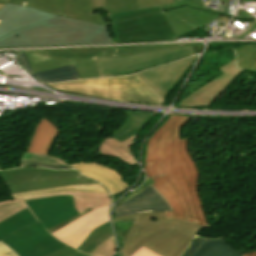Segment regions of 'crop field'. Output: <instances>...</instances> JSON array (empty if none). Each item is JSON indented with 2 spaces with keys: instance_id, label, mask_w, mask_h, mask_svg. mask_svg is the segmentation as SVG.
I'll return each mask as SVG.
<instances>
[{
  "instance_id": "crop-field-20",
  "label": "crop field",
  "mask_w": 256,
  "mask_h": 256,
  "mask_svg": "<svg viewBox=\"0 0 256 256\" xmlns=\"http://www.w3.org/2000/svg\"><path fill=\"white\" fill-rule=\"evenodd\" d=\"M136 135L130 137L129 139L121 143L109 136L100 145L98 155H106L121 158L124 161L131 164L132 166L136 165L137 162L134 160L132 156V142Z\"/></svg>"
},
{
  "instance_id": "crop-field-39",
  "label": "crop field",
  "mask_w": 256,
  "mask_h": 256,
  "mask_svg": "<svg viewBox=\"0 0 256 256\" xmlns=\"http://www.w3.org/2000/svg\"><path fill=\"white\" fill-rule=\"evenodd\" d=\"M204 239L195 238L183 256H192Z\"/></svg>"
},
{
  "instance_id": "crop-field-13",
  "label": "crop field",
  "mask_w": 256,
  "mask_h": 256,
  "mask_svg": "<svg viewBox=\"0 0 256 256\" xmlns=\"http://www.w3.org/2000/svg\"><path fill=\"white\" fill-rule=\"evenodd\" d=\"M109 207L91 211L64 228L52 233L62 242L77 248L95 227L109 220Z\"/></svg>"
},
{
  "instance_id": "crop-field-51",
  "label": "crop field",
  "mask_w": 256,
  "mask_h": 256,
  "mask_svg": "<svg viewBox=\"0 0 256 256\" xmlns=\"http://www.w3.org/2000/svg\"><path fill=\"white\" fill-rule=\"evenodd\" d=\"M0 170H1V167H0Z\"/></svg>"
},
{
  "instance_id": "crop-field-23",
  "label": "crop field",
  "mask_w": 256,
  "mask_h": 256,
  "mask_svg": "<svg viewBox=\"0 0 256 256\" xmlns=\"http://www.w3.org/2000/svg\"><path fill=\"white\" fill-rule=\"evenodd\" d=\"M126 115L128 118L124 126L110 135L120 142L138 133L152 116L151 114L138 112H127Z\"/></svg>"
},
{
  "instance_id": "crop-field-26",
  "label": "crop field",
  "mask_w": 256,
  "mask_h": 256,
  "mask_svg": "<svg viewBox=\"0 0 256 256\" xmlns=\"http://www.w3.org/2000/svg\"><path fill=\"white\" fill-rule=\"evenodd\" d=\"M69 191H81V192H93V193H108L102 185H81V186H64L22 194L12 195L13 199L26 198L46 193L53 192H69Z\"/></svg>"
},
{
  "instance_id": "crop-field-52",
  "label": "crop field",
  "mask_w": 256,
  "mask_h": 256,
  "mask_svg": "<svg viewBox=\"0 0 256 256\" xmlns=\"http://www.w3.org/2000/svg\"><path fill=\"white\" fill-rule=\"evenodd\" d=\"M1 22V21H0Z\"/></svg>"
},
{
  "instance_id": "crop-field-36",
  "label": "crop field",
  "mask_w": 256,
  "mask_h": 256,
  "mask_svg": "<svg viewBox=\"0 0 256 256\" xmlns=\"http://www.w3.org/2000/svg\"><path fill=\"white\" fill-rule=\"evenodd\" d=\"M137 1H138L139 9L173 3L172 0H137Z\"/></svg>"
},
{
  "instance_id": "crop-field-11",
  "label": "crop field",
  "mask_w": 256,
  "mask_h": 256,
  "mask_svg": "<svg viewBox=\"0 0 256 256\" xmlns=\"http://www.w3.org/2000/svg\"><path fill=\"white\" fill-rule=\"evenodd\" d=\"M218 70L224 74L188 95L178 107L210 106L230 83L244 72L235 67V58Z\"/></svg>"
},
{
  "instance_id": "crop-field-38",
  "label": "crop field",
  "mask_w": 256,
  "mask_h": 256,
  "mask_svg": "<svg viewBox=\"0 0 256 256\" xmlns=\"http://www.w3.org/2000/svg\"><path fill=\"white\" fill-rule=\"evenodd\" d=\"M21 162L27 163L26 166L46 167V168H56V169H73L71 166L44 164V163H38V162H33V161H27V160H22Z\"/></svg>"
},
{
  "instance_id": "crop-field-25",
  "label": "crop field",
  "mask_w": 256,
  "mask_h": 256,
  "mask_svg": "<svg viewBox=\"0 0 256 256\" xmlns=\"http://www.w3.org/2000/svg\"><path fill=\"white\" fill-rule=\"evenodd\" d=\"M194 256H242L229 247L224 238L218 240L205 239Z\"/></svg>"
},
{
  "instance_id": "crop-field-32",
  "label": "crop field",
  "mask_w": 256,
  "mask_h": 256,
  "mask_svg": "<svg viewBox=\"0 0 256 256\" xmlns=\"http://www.w3.org/2000/svg\"><path fill=\"white\" fill-rule=\"evenodd\" d=\"M134 220H135V218H132V219L113 223L116 238H117V241H118L120 247H122V244L129 232Z\"/></svg>"
},
{
  "instance_id": "crop-field-8",
  "label": "crop field",
  "mask_w": 256,
  "mask_h": 256,
  "mask_svg": "<svg viewBox=\"0 0 256 256\" xmlns=\"http://www.w3.org/2000/svg\"><path fill=\"white\" fill-rule=\"evenodd\" d=\"M192 46L157 52L95 59L101 77L128 75L193 55Z\"/></svg>"
},
{
  "instance_id": "crop-field-50",
  "label": "crop field",
  "mask_w": 256,
  "mask_h": 256,
  "mask_svg": "<svg viewBox=\"0 0 256 256\" xmlns=\"http://www.w3.org/2000/svg\"><path fill=\"white\" fill-rule=\"evenodd\" d=\"M248 71H252V70H248ZM254 72H256V71H254Z\"/></svg>"
},
{
  "instance_id": "crop-field-4",
  "label": "crop field",
  "mask_w": 256,
  "mask_h": 256,
  "mask_svg": "<svg viewBox=\"0 0 256 256\" xmlns=\"http://www.w3.org/2000/svg\"><path fill=\"white\" fill-rule=\"evenodd\" d=\"M185 45L25 51L33 72L74 63L81 79L100 77L94 58L139 54Z\"/></svg>"
},
{
  "instance_id": "crop-field-14",
  "label": "crop field",
  "mask_w": 256,
  "mask_h": 256,
  "mask_svg": "<svg viewBox=\"0 0 256 256\" xmlns=\"http://www.w3.org/2000/svg\"><path fill=\"white\" fill-rule=\"evenodd\" d=\"M197 56L138 73V75L165 99Z\"/></svg>"
},
{
  "instance_id": "crop-field-37",
  "label": "crop field",
  "mask_w": 256,
  "mask_h": 256,
  "mask_svg": "<svg viewBox=\"0 0 256 256\" xmlns=\"http://www.w3.org/2000/svg\"><path fill=\"white\" fill-rule=\"evenodd\" d=\"M48 256H87L81 252L76 251L75 249L67 246L51 255Z\"/></svg>"
},
{
  "instance_id": "crop-field-5",
  "label": "crop field",
  "mask_w": 256,
  "mask_h": 256,
  "mask_svg": "<svg viewBox=\"0 0 256 256\" xmlns=\"http://www.w3.org/2000/svg\"><path fill=\"white\" fill-rule=\"evenodd\" d=\"M105 15L116 43L177 39L159 6Z\"/></svg>"
},
{
  "instance_id": "crop-field-12",
  "label": "crop field",
  "mask_w": 256,
  "mask_h": 256,
  "mask_svg": "<svg viewBox=\"0 0 256 256\" xmlns=\"http://www.w3.org/2000/svg\"><path fill=\"white\" fill-rule=\"evenodd\" d=\"M26 203L47 229L78 215L73 206L72 196L35 199Z\"/></svg>"
},
{
  "instance_id": "crop-field-48",
  "label": "crop field",
  "mask_w": 256,
  "mask_h": 256,
  "mask_svg": "<svg viewBox=\"0 0 256 256\" xmlns=\"http://www.w3.org/2000/svg\"><path fill=\"white\" fill-rule=\"evenodd\" d=\"M5 6V4H0V9L2 8V7H4Z\"/></svg>"
},
{
  "instance_id": "crop-field-31",
  "label": "crop field",
  "mask_w": 256,
  "mask_h": 256,
  "mask_svg": "<svg viewBox=\"0 0 256 256\" xmlns=\"http://www.w3.org/2000/svg\"><path fill=\"white\" fill-rule=\"evenodd\" d=\"M117 253V248L114 242V238L111 237L101 243L95 250L89 255L91 256H114Z\"/></svg>"
},
{
  "instance_id": "crop-field-7",
  "label": "crop field",
  "mask_w": 256,
  "mask_h": 256,
  "mask_svg": "<svg viewBox=\"0 0 256 256\" xmlns=\"http://www.w3.org/2000/svg\"><path fill=\"white\" fill-rule=\"evenodd\" d=\"M12 194L81 184H98L75 170H50L42 168H21L0 171Z\"/></svg>"
},
{
  "instance_id": "crop-field-29",
  "label": "crop field",
  "mask_w": 256,
  "mask_h": 256,
  "mask_svg": "<svg viewBox=\"0 0 256 256\" xmlns=\"http://www.w3.org/2000/svg\"><path fill=\"white\" fill-rule=\"evenodd\" d=\"M27 207L23 199L0 202V221Z\"/></svg>"
},
{
  "instance_id": "crop-field-40",
  "label": "crop field",
  "mask_w": 256,
  "mask_h": 256,
  "mask_svg": "<svg viewBox=\"0 0 256 256\" xmlns=\"http://www.w3.org/2000/svg\"><path fill=\"white\" fill-rule=\"evenodd\" d=\"M152 182H153L152 179H147L146 182L143 184V187L141 189H138L137 191H135V192L131 193L130 195H128L125 199H123L119 203H117L116 206H118L119 204L123 203L124 201L130 199L131 197L137 195L138 193H140L142 190H144Z\"/></svg>"
},
{
  "instance_id": "crop-field-45",
  "label": "crop field",
  "mask_w": 256,
  "mask_h": 256,
  "mask_svg": "<svg viewBox=\"0 0 256 256\" xmlns=\"http://www.w3.org/2000/svg\"><path fill=\"white\" fill-rule=\"evenodd\" d=\"M194 49V53H200L203 45H192Z\"/></svg>"
},
{
  "instance_id": "crop-field-44",
  "label": "crop field",
  "mask_w": 256,
  "mask_h": 256,
  "mask_svg": "<svg viewBox=\"0 0 256 256\" xmlns=\"http://www.w3.org/2000/svg\"><path fill=\"white\" fill-rule=\"evenodd\" d=\"M93 9L103 8L104 12H107L105 0H91Z\"/></svg>"
},
{
  "instance_id": "crop-field-1",
  "label": "crop field",
  "mask_w": 256,
  "mask_h": 256,
  "mask_svg": "<svg viewBox=\"0 0 256 256\" xmlns=\"http://www.w3.org/2000/svg\"><path fill=\"white\" fill-rule=\"evenodd\" d=\"M189 120L190 117L170 116L152 135L144 169L173 209L165 212L167 218L210 227L199 196L200 173L188 153V139L180 136L182 126Z\"/></svg>"
},
{
  "instance_id": "crop-field-30",
  "label": "crop field",
  "mask_w": 256,
  "mask_h": 256,
  "mask_svg": "<svg viewBox=\"0 0 256 256\" xmlns=\"http://www.w3.org/2000/svg\"><path fill=\"white\" fill-rule=\"evenodd\" d=\"M108 12H120L138 9L136 0H106Z\"/></svg>"
},
{
  "instance_id": "crop-field-27",
  "label": "crop field",
  "mask_w": 256,
  "mask_h": 256,
  "mask_svg": "<svg viewBox=\"0 0 256 256\" xmlns=\"http://www.w3.org/2000/svg\"><path fill=\"white\" fill-rule=\"evenodd\" d=\"M112 235L111 224L110 222H107L95 228L89 237L77 249L89 254L101 242Z\"/></svg>"
},
{
  "instance_id": "crop-field-3",
  "label": "crop field",
  "mask_w": 256,
  "mask_h": 256,
  "mask_svg": "<svg viewBox=\"0 0 256 256\" xmlns=\"http://www.w3.org/2000/svg\"><path fill=\"white\" fill-rule=\"evenodd\" d=\"M132 217L137 218L121 249L122 256H131L142 246L161 256H180L200 228L166 219L164 212L125 216L113 221Z\"/></svg>"
},
{
  "instance_id": "crop-field-9",
  "label": "crop field",
  "mask_w": 256,
  "mask_h": 256,
  "mask_svg": "<svg viewBox=\"0 0 256 256\" xmlns=\"http://www.w3.org/2000/svg\"><path fill=\"white\" fill-rule=\"evenodd\" d=\"M1 241L18 256H45L67 246L52 237L39 222Z\"/></svg>"
},
{
  "instance_id": "crop-field-28",
  "label": "crop field",
  "mask_w": 256,
  "mask_h": 256,
  "mask_svg": "<svg viewBox=\"0 0 256 256\" xmlns=\"http://www.w3.org/2000/svg\"><path fill=\"white\" fill-rule=\"evenodd\" d=\"M236 54L238 68L256 70V45L241 46Z\"/></svg>"
},
{
  "instance_id": "crop-field-24",
  "label": "crop field",
  "mask_w": 256,
  "mask_h": 256,
  "mask_svg": "<svg viewBox=\"0 0 256 256\" xmlns=\"http://www.w3.org/2000/svg\"><path fill=\"white\" fill-rule=\"evenodd\" d=\"M35 222H38V220L29 207L16 213L0 223V240L8 236L10 233Z\"/></svg>"
},
{
  "instance_id": "crop-field-15",
  "label": "crop field",
  "mask_w": 256,
  "mask_h": 256,
  "mask_svg": "<svg viewBox=\"0 0 256 256\" xmlns=\"http://www.w3.org/2000/svg\"><path fill=\"white\" fill-rule=\"evenodd\" d=\"M30 7L7 4L0 10V38L19 28L56 17Z\"/></svg>"
},
{
  "instance_id": "crop-field-21",
  "label": "crop field",
  "mask_w": 256,
  "mask_h": 256,
  "mask_svg": "<svg viewBox=\"0 0 256 256\" xmlns=\"http://www.w3.org/2000/svg\"><path fill=\"white\" fill-rule=\"evenodd\" d=\"M18 53H19L21 64L30 72H32L25 52L18 51ZM34 75H36L43 82H46V83L80 79L73 64L48 70V71H44V72H40V73H36Z\"/></svg>"
},
{
  "instance_id": "crop-field-35",
  "label": "crop field",
  "mask_w": 256,
  "mask_h": 256,
  "mask_svg": "<svg viewBox=\"0 0 256 256\" xmlns=\"http://www.w3.org/2000/svg\"><path fill=\"white\" fill-rule=\"evenodd\" d=\"M187 9L193 15V17L198 22V24L201 26V28L206 26L212 20H214L217 17H219L218 15H214V14H211V13H208V12H204V11H201V10L192 9V8H188V7H187Z\"/></svg>"
},
{
  "instance_id": "crop-field-47",
  "label": "crop field",
  "mask_w": 256,
  "mask_h": 256,
  "mask_svg": "<svg viewBox=\"0 0 256 256\" xmlns=\"http://www.w3.org/2000/svg\"><path fill=\"white\" fill-rule=\"evenodd\" d=\"M7 0H0V3H6Z\"/></svg>"
},
{
  "instance_id": "crop-field-2",
  "label": "crop field",
  "mask_w": 256,
  "mask_h": 256,
  "mask_svg": "<svg viewBox=\"0 0 256 256\" xmlns=\"http://www.w3.org/2000/svg\"><path fill=\"white\" fill-rule=\"evenodd\" d=\"M107 43H115L108 25L100 26L59 16L1 38L0 48Z\"/></svg>"
},
{
  "instance_id": "crop-field-22",
  "label": "crop field",
  "mask_w": 256,
  "mask_h": 256,
  "mask_svg": "<svg viewBox=\"0 0 256 256\" xmlns=\"http://www.w3.org/2000/svg\"><path fill=\"white\" fill-rule=\"evenodd\" d=\"M177 38L182 35L200 29V26L194 20L189 11L184 8L174 9L164 12ZM197 27V28H195Z\"/></svg>"
},
{
  "instance_id": "crop-field-49",
  "label": "crop field",
  "mask_w": 256,
  "mask_h": 256,
  "mask_svg": "<svg viewBox=\"0 0 256 256\" xmlns=\"http://www.w3.org/2000/svg\"><path fill=\"white\" fill-rule=\"evenodd\" d=\"M25 165H26V164L21 163L19 167H23V166H25Z\"/></svg>"
},
{
  "instance_id": "crop-field-18",
  "label": "crop field",
  "mask_w": 256,
  "mask_h": 256,
  "mask_svg": "<svg viewBox=\"0 0 256 256\" xmlns=\"http://www.w3.org/2000/svg\"><path fill=\"white\" fill-rule=\"evenodd\" d=\"M56 135L57 127L42 117L34 130L27 152L48 154Z\"/></svg>"
},
{
  "instance_id": "crop-field-10",
  "label": "crop field",
  "mask_w": 256,
  "mask_h": 256,
  "mask_svg": "<svg viewBox=\"0 0 256 256\" xmlns=\"http://www.w3.org/2000/svg\"><path fill=\"white\" fill-rule=\"evenodd\" d=\"M7 3L30 6L52 14L71 17L100 25L107 24L104 13L92 14L90 0H8Z\"/></svg>"
},
{
  "instance_id": "crop-field-33",
  "label": "crop field",
  "mask_w": 256,
  "mask_h": 256,
  "mask_svg": "<svg viewBox=\"0 0 256 256\" xmlns=\"http://www.w3.org/2000/svg\"><path fill=\"white\" fill-rule=\"evenodd\" d=\"M22 159L52 163V164L69 165L59 157H52V156H47L42 154L24 153Z\"/></svg>"
},
{
  "instance_id": "crop-field-19",
  "label": "crop field",
  "mask_w": 256,
  "mask_h": 256,
  "mask_svg": "<svg viewBox=\"0 0 256 256\" xmlns=\"http://www.w3.org/2000/svg\"><path fill=\"white\" fill-rule=\"evenodd\" d=\"M57 195H73L74 205L79 212V214L91 207L93 210L108 205H111V196L110 194H93V193H80V192H70V193H54L46 194L31 198H26L25 200L43 198V197H52Z\"/></svg>"
},
{
  "instance_id": "crop-field-43",
  "label": "crop field",
  "mask_w": 256,
  "mask_h": 256,
  "mask_svg": "<svg viewBox=\"0 0 256 256\" xmlns=\"http://www.w3.org/2000/svg\"><path fill=\"white\" fill-rule=\"evenodd\" d=\"M0 256H17L14 254L11 249L4 246L2 243H0Z\"/></svg>"
},
{
  "instance_id": "crop-field-42",
  "label": "crop field",
  "mask_w": 256,
  "mask_h": 256,
  "mask_svg": "<svg viewBox=\"0 0 256 256\" xmlns=\"http://www.w3.org/2000/svg\"><path fill=\"white\" fill-rule=\"evenodd\" d=\"M132 256H159V255L142 247L137 252H135Z\"/></svg>"
},
{
  "instance_id": "crop-field-46",
  "label": "crop field",
  "mask_w": 256,
  "mask_h": 256,
  "mask_svg": "<svg viewBox=\"0 0 256 256\" xmlns=\"http://www.w3.org/2000/svg\"><path fill=\"white\" fill-rule=\"evenodd\" d=\"M243 256H256V252L245 253Z\"/></svg>"
},
{
  "instance_id": "crop-field-41",
  "label": "crop field",
  "mask_w": 256,
  "mask_h": 256,
  "mask_svg": "<svg viewBox=\"0 0 256 256\" xmlns=\"http://www.w3.org/2000/svg\"><path fill=\"white\" fill-rule=\"evenodd\" d=\"M90 210H91V209L89 208L88 210H86L85 212L81 213L80 215H78V216H76V217H73V218H71V219H69V220H67V221H65V222H63V223H61V224H59V225H57V226H55V227L49 229L50 233L53 232V231H55V230H57V229H59V228H61V227H63V226H65V225H67V224H69L70 222H72L73 220H75V219H77L78 217L82 216L83 214L89 212Z\"/></svg>"
},
{
  "instance_id": "crop-field-17",
  "label": "crop field",
  "mask_w": 256,
  "mask_h": 256,
  "mask_svg": "<svg viewBox=\"0 0 256 256\" xmlns=\"http://www.w3.org/2000/svg\"><path fill=\"white\" fill-rule=\"evenodd\" d=\"M73 166L85 176L91 177L102 183L112 194L130 187L122 180L123 178L118 173L104 166L94 163H78L73 164Z\"/></svg>"
},
{
  "instance_id": "crop-field-34",
  "label": "crop field",
  "mask_w": 256,
  "mask_h": 256,
  "mask_svg": "<svg viewBox=\"0 0 256 256\" xmlns=\"http://www.w3.org/2000/svg\"><path fill=\"white\" fill-rule=\"evenodd\" d=\"M173 1H174V4L161 6L162 10L166 11V10H170L178 7L188 6V7L198 8L206 11L201 0H173Z\"/></svg>"
},
{
  "instance_id": "crop-field-16",
  "label": "crop field",
  "mask_w": 256,
  "mask_h": 256,
  "mask_svg": "<svg viewBox=\"0 0 256 256\" xmlns=\"http://www.w3.org/2000/svg\"><path fill=\"white\" fill-rule=\"evenodd\" d=\"M162 211H172V209L151 184L136 197L116 207L113 211V216L116 218L137 213Z\"/></svg>"
},
{
  "instance_id": "crop-field-6",
  "label": "crop field",
  "mask_w": 256,
  "mask_h": 256,
  "mask_svg": "<svg viewBox=\"0 0 256 256\" xmlns=\"http://www.w3.org/2000/svg\"><path fill=\"white\" fill-rule=\"evenodd\" d=\"M50 86L58 90L118 101L147 104H160L163 101L137 74L127 77L51 84Z\"/></svg>"
}]
</instances>
